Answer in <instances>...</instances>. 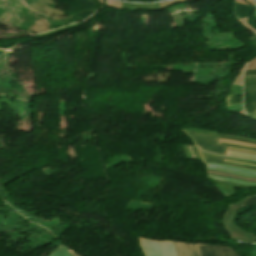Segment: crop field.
<instances>
[{
  "instance_id": "obj_12",
  "label": "crop field",
  "mask_w": 256,
  "mask_h": 256,
  "mask_svg": "<svg viewBox=\"0 0 256 256\" xmlns=\"http://www.w3.org/2000/svg\"><path fill=\"white\" fill-rule=\"evenodd\" d=\"M256 206V196L250 197L243 207Z\"/></svg>"
},
{
  "instance_id": "obj_11",
  "label": "crop field",
  "mask_w": 256,
  "mask_h": 256,
  "mask_svg": "<svg viewBox=\"0 0 256 256\" xmlns=\"http://www.w3.org/2000/svg\"><path fill=\"white\" fill-rule=\"evenodd\" d=\"M227 149H229V150H234V151H239V152H245V153L256 154V151H255V150H248V149L239 148V147H231V146H228Z\"/></svg>"
},
{
  "instance_id": "obj_18",
  "label": "crop field",
  "mask_w": 256,
  "mask_h": 256,
  "mask_svg": "<svg viewBox=\"0 0 256 256\" xmlns=\"http://www.w3.org/2000/svg\"><path fill=\"white\" fill-rule=\"evenodd\" d=\"M207 174H210V173H207ZM211 175H217V174H211ZM219 176H222V175H219ZM225 177H228V176H225ZM230 178H233V177H230ZM234 179H237V178H234ZM237 180H241V179H237ZM242 181H245V180H242ZM251 182H256V181H251Z\"/></svg>"
},
{
  "instance_id": "obj_8",
  "label": "crop field",
  "mask_w": 256,
  "mask_h": 256,
  "mask_svg": "<svg viewBox=\"0 0 256 256\" xmlns=\"http://www.w3.org/2000/svg\"><path fill=\"white\" fill-rule=\"evenodd\" d=\"M226 155L235 156V157H241V158H246V159H251V160H256V156L255 155L237 153V152H232V151H228V150L226 151Z\"/></svg>"
},
{
  "instance_id": "obj_10",
  "label": "crop field",
  "mask_w": 256,
  "mask_h": 256,
  "mask_svg": "<svg viewBox=\"0 0 256 256\" xmlns=\"http://www.w3.org/2000/svg\"><path fill=\"white\" fill-rule=\"evenodd\" d=\"M208 177L212 178V179H217V180L232 181V182H236V183H240V184H244V185H256V183L240 182V181L230 179V178H225V177H217V176H211V175H208Z\"/></svg>"
},
{
  "instance_id": "obj_1",
  "label": "crop field",
  "mask_w": 256,
  "mask_h": 256,
  "mask_svg": "<svg viewBox=\"0 0 256 256\" xmlns=\"http://www.w3.org/2000/svg\"><path fill=\"white\" fill-rule=\"evenodd\" d=\"M174 242L177 256H238L234 250L205 244H192L183 242Z\"/></svg>"
},
{
  "instance_id": "obj_6",
  "label": "crop field",
  "mask_w": 256,
  "mask_h": 256,
  "mask_svg": "<svg viewBox=\"0 0 256 256\" xmlns=\"http://www.w3.org/2000/svg\"><path fill=\"white\" fill-rule=\"evenodd\" d=\"M205 166H206V169H216V170L227 171L235 174L256 177V171H253V170H246L241 168L229 167L225 165L208 164V163H205Z\"/></svg>"
},
{
  "instance_id": "obj_7",
  "label": "crop field",
  "mask_w": 256,
  "mask_h": 256,
  "mask_svg": "<svg viewBox=\"0 0 256 256\" xmlns=\"http://www.w3.org/2000/svg\"><path fill=\"white\" fill-rule=\"evenodd\" d=\"M49 256H71L69 249L63 245L57 247Z\"/></svg>"
},
{
  "instance_id": "obj_16",
  "label": "crop field",
  "mask_w": 256,
  "mask_h": 256,
  "mask_svg": "<svg viewBox=\"0 0 256 256\" xmlns=\"http://www.w3.org/2000/svg\"><path fill=\"white\" fill-rule=\"evenodd\" d=\"M211 171H214V170H211ZM218 172H221V171H218ZM223 173H226V172H223ZM227 174H230V173H227ZM231 175H235V174H231ZM235 176H239V175H235ZM239 177L249 178V177H245V176H239ZM250 179H256V178H250Z\"/></svg>"
},
{
  "instance_id": "obj_2",
  "label": "crop field",
  "mask_w": 256,
  "mask_h": 256,
  "mask_svg": "<svg viewBox=\"0 0 256 256\" xmlns=\"http://www.w3.org/2000/svg\"><path fill=\"white\" fill-rule=\"evenodd\" d=\"M183 132L194 142L195 145H197L202 150L215 152L220 155L225 154L226 147L224 145L220 144L222 142L218 143V138L201 135V134H196V133H191V132H187V131H183ZM223 144L245 147V146L230 144V143H223ZM245 148H250V149L256 150V148H251V147H245Z\"/></svg>"
},
{
  "instance_id": "obj_13",
  "label": "crop field",
  "mask_w": 256,
  "mask_h": 256,
  "mask_svg": "<svg viewBox=\"0 0 256 256\" xmlns=\"http://www.w3.org/2000/svg\"><path fill=\"white\" fill-rule=\"evenodd\" d=\"M219 141H222V142H230V143H237V142H231V141H226V140H221V139H219ZM237 144H242V145H247V146L256 147V145H250V144H244V143H237Z\"/></svg>"
},
{
  "instance_id": "obj_9",
  "label": "crop field",
  "mask_w": 256,
  "mask_h": 256,
  "mask_svg": "<svg viewBox=\"0 0 256 256\" xmlns=\"http://www.w3.org/2000/svg\"><path fill=\"white\" fill-rule=\"evenodd\" d=\"M234 98H237V99L228 101V100L234 99ZM240 103H242V94H233V95L228 96V98H227L228 106L234 105V104H240Z\"/></svg>"
},
{
  "instance_id": "obj_3",
  "label": "crop field",
  "mask_w": 256,
  "mask_h": 256,
  "mask_svg": "<svg viewBox=\"0 0 256 256\" xmlns=\"http://www.w3.org/2000/svg\"><path fill=\"white\" fill-rule=\"evenodd\" d=\"M244 108L256 119V75L244 76Z\"/></svg>"
},
{
  "instance_id": "obj_14",
  "label": "crop field",
  "mask_w": 256,
  "mask_h": 256,
  "mask_svg": "<svg viewBox=\"0 0 256 256\" xmlns=\"http://www.w3.org/2000/svg\"><path fill=\"white\" fill-rule=\"evenodd\" d=\"M227 162H232V163H236V164H242V165H250V166H256V165H251V164H245V163H240V162H235V161H229V160H224Z\"/></svg>"
},
{
  "instance_id": "obj_4",
  "label": "crop field",
  "mask_w": 256,
  "mask_h": 256,
  "mask_svg": "<svg viewBox=\"0 0 256 256\" xmlns=\"http://www.w3.org/2000/svg\"><path fill=\"white\" fill-rule=\"evenodd\" d=\"M253 11L249 5L236 1L234 8V15L237 19L248 16L247 23H249L256 30V22L252 18L250 12Z\"/></svg>"
},
{
  "instance_id": "obj_15",
  "label": "crop field",
  "mask_w": 256,
  "mask_h": 256,
  "mask_svg": "<svg viewBox=\"0 0 256 256\" xmlns=\"http://www.w3.org/2000/svg\"><path fill=\"white\" fill-rule=\"evenodd\" d=\"M248 74H256V70L246 71L245 75H248Z\"/></svg>"
},
{
  "instance_id": "obj_5",
  "label": "crop field",
  "mask_w": 256,
  "mask_h": 256,
  "mask_svg": "<svg viewBox=\"0 0 256 256\" xmlns=\"http://www.w3.org/2000/svg\"><path fill=\"white\" fill-rule=\"evenodd\" d=\"M199 153L201 155V158H202L203 162L220 163V164H225V165H231V166H237V167H242V168H246V169H254V170H256L255 167L242 166V165H236V164H231V163H227V162H222V160H223L222 157H218V156L213 155V154H208V153H205V152H203L201 150H199ZM226 159H229V158H226ZM230 160H235V161H241V162L256 164L254 162H248V161L238 160V159H230Z\"/></svg>"
},
{
  "instance_id": "obj_19",
  "label": "crop field",
  "mask_w": 256,
  "mask_h": 256,
  "mask_svg": "<svg viewBox=\"0 0 256 256\" xmlns=\"http://www.w3.org/2000/svg\"><path fill=\"white\" fill-rule=\"evenodd\" d=\"M71 255H72V256H78V255H76L75 253H73L72 251H71Z\"/></svg>"
},
{
  "instance_id": "obj_17",
  "label": "crop field",
  "mask_w": 256,
  "mask_h": 256,
  "mask_svg": "<svg viewBox=\"0 0 256 256\" xmlns=\"http://www.w3.org/2000/svg\"><path fill=\"white\" fill-rule=\"evenodd\" d=\"M249 39L256 45V35L251 37V38H249Z\"/></svg>"
}]
</instances>
